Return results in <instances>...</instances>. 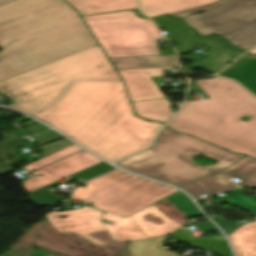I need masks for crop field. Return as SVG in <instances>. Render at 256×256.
<instances>
[{"label":"crop field","mask_w":256,"mask_h":256,"mask_svg":"<svg viewBox=\"0 0 256 256\" xmlns=\"http://www.w3.org/2000/svg\"><path fill=\"white\" fill-rule=\"evenodd\" d=\"M139 116L154 121L167 122L174 113H171V105L167 99L133 103Z\"/></svg>","instance_id":"crop-field-20"},{"label":"crop field","mask_w":256,"mask_h":256,"mask_svg":"<svg viewBox=\"0 0 256 256\" xmlns=\"http://www.w3.org/2000/svg\"><path fill=\"white\" fill-rule=\"evenodd\" d=\"M249 53L256 54V47H254L251 51H249Z\"/></svg>","instance_id":"crop-field-36"},{"label":"crop field","mask_w":256,"mask_h":256,"mask_svg":"<svg viewBox=\"0 0 256 256\" xmlns=\"http://www.w3.org/2000/svg\"><path fill=\"white\" fill-rule=\"evenodd\" d=\"M109 58L161 55L153 22L132 11L83 17Z\"/></svg>","instance_id":"crop-field-7"},{"label":"crop field","mask_w":256,"mask_h":256,"mask_svg":"<svg viewBox=\"0 0 256 256\" xmlns=\"http://www.w3.org/2000/svg\"><path fill=\"white\" fill-rule=\"evenodd\" d=\"M184 20L201 35L222 34L242 49L256 43V0H234L212 12Z\"/></svg>","instance_id":"crop-field-8"},{"label":"crop field","mask_w":256,"mask_h":256,"mask_svg":"<svg viewBox=\"0 0 256 256\" xmlns=\"http://www.w3.org/2000/svg\"><path fill=\"white\" fill-rule=\"evenodd\" d=\"M204 154L219 163L201 167L194 155ZM245 155H235L188 135L164 127L151 148L116 165L140 175L181 185L218 172Z\"/></svg>","instance_id":"crop-field-5"},{"label":"crop field","mask_w":256,"mask_h":256,"mask_svg":"<svg viewBox=\"0 0 256 256\" xmlns=\"http://www.w3.org/2000/svg\"><path fill=\"white\" fill-rule=\"evenodd\" d=\"M135 11L138 13L139 16L144 17V18H147L146 16H144L143 14H141L138 9H136Z\"/></svg>","instance_id":"crop-field-35"},{"label":"crop field","mask_w":256,"mask_h":256,"mask_svg":"<svg viewBox=\"0 0 256 256\" xmlns=\"http://www.w3.org/2000/svg\"><path fill=\"white\" fill-rule=\"evenodd\" d=\"M12 1H15V0H0V6H2L4 4H7V3H10Z\"/></svg>","instance_id":"crop-field-34"},{"label":"crop field","mask_w":256,"mask_h":256,"mask_svg":"<svg viewBox=\"0 0 256 256\" xmlns=\"http://www.w3.org/2000/svg\"><path fill=\"white\" fill-rule=\"evenodd\" d=\"M169 201L175 205L178 211L187 212L186 216L187 218L197 217V216H203L204 214L201 213L197 207L194 205V203L181 191L157 202H166Z\"/></svg>","instance_id":"crop-field-23"},{"label":"crop field","mask_w":256,"mask_h":256,"mask_svg":"<svg viewBox=\"0 0 256 256\" xmlns=\"http://www.w3.org/2000/svg\"><path fill=\"white\" fill-rule=\"evenodd\" d=\"M117 69L178 66L177 55L111 59Z\"/></svg>","instance_id":"crop-field-19"},{"label":"crop field","mask_w":256,"mask_h":256,"mask_svg":"<svg viewBox=\"0 0 256 256\" xmlns=\"http://www.w3.org/2000/svg\"><path fill=\"white\" fill-rule=\"evenodd\" d=\"M228 1H230V0H219V1L215 2L212 5H208V6H204V7H200V8H196V9H192V10H188V11H184V12L172 13V15L182 18V17H184V16H186V15H188L190 13H193V12L211 10V9H213V8L219 6V5H222V4H224V3L228 2Z\"/></svg>","instance_id":"crop-field-29"},{"label":"crop field","mask_w":256,"mask_h":256,"mask_svg":"<svg viewBox=\"0 0 256 256\" xmlns=\"http://www.w3.org/2000/svg\"><path fill=\"white\" fill-rule=\"evenodd\" d=\"M113 168H114V167L108 165L107 163L102 162V163H100V164H97V165H95V166H93V167H90V168H88V169H85V170H83V171H80V172H78V173H76V174H73V175H71V176L74 177V178H76V179L79 180V181H85V180H87V179H89V178H92V177H94V176H97V175H99V174H101V173H104V172H106V171H109V170H111V169H113ZM76 179H75V180H76Z\"/></svg>","instance_id":"crop-field-26"},{"label":"crop field","mask_w":256,"mask_h":256,"mask_svg":"<svg viewBox=\"0 0 256 256\" xmlns=\"http://www.w3.org/2000/svg\"><path fill=\"white\" fill-rule=\"evenodd\" d=\"M80 149H82V148L75 144V145H73V146H71V147H69V148H67V149H65L63 151H60V152H58V153H56L54 155H51V156H49V157H47L45 159H42V160H40L38 162L30 164V165H28V166H26V167H24L22 169L33 171V170H35V169H37L39 167H42V166H44L46 164H49V163H51V162H53L55 160H58V159H60L62 157H65V156H67V155H69V154H71L73 152H76V151H78Z\"/></svg>","instance_id":"crop-field-25"},{"label":"crop field","mask_w":256,"mask_h":256,"mask_svg":"<svg viewBox=\"0 0 256 256\" xmlns=\"http://www.w3.org/2000/svg\"><path fill=\"white\" fill-rule=\"evenodd\" d=\"M173 68L174 67L118 71L126 83L131 101L137 102L166 98L150 77L164 76L162 69Z\"/></svg>","instance_id":"crop-field-13"},{"label":"crop field","mask_w":256,"mask_h":256,"mask_svg":"<svg viewBox=\"0 0 256 256\" xmlns=\"http://www.w3.org/2000/svg\"><path fill=\"white\" fill-rule=\"evenodd\" d=\"M37 140L36 142L42 146V145H45L47 143H50V142H53V141H56V140H59L61 138H64L63 136H61L60 134L52 131V130H49L39 136H37Z\"/></svg>","instance_id":"crop-field-28"},{"label":"crop field","mask_w":256,"mask_h":256,"mask_svg":"<svg viewBox=\"0 0 256 256\" xmlns=\"http://www.w3.org/2000/svg\"><path fill=\"white\" fill-rule=\"evenodd\" d=\"M167 236L133 241L129 246L132 256H178L179 253L165 251L162 242Z\"/></svg>","instance_id":"crop-field-22"},{"label":"crop field","mask_w":256,"mask_h":256,"mask_svg":"<svg viewBox=\"0 0 256 256\" xmlns=\"http://www.w3.org/2000/svg\"><path fill=\"white\" fill-rule=\"evenodd\" d=\"M225 176L231 175L243 180L240 186L256 184V160L248 156L231 165L227 170L221 172Z\"/></svg>","instance_id":"crop-field-21"},{"label":"crop field","mask_w":256,"mask_h":256,"mask_svg":"<svg viewBox=\"0 0 256 256\" xmlns=\"http://www.w3.org/2000/svg\"><path fill=\"white\" fill-rule=\"evenodd\" d=\"M101 215V211L85 206L77 210L52 212L47 218L52 226L62 233L82 234L105 230L101 223ZM61 216L68 218L60 219Z\"/></svg>","instance_id":"crop-field-12"},{"label":"crop field","mask_w":256,"mask_h":256,"mask_svg":"<svg viewBox=\"0 0 256 256\" xmlns=\"http://www.w3.org/2000/svg\"><path fill=\"white\" fill-rule=\"evenodd\" d=\"M77 80H122L100 45L0 82L9 105L32 114L51 106Z\"/></svg>","instance_id":"crop-field-4"},{"label":"crop field","mask_w":256,"mask_h":256,"mask_svg":"<svg viewBox=\"0 0 256 256\" xmlns=\"http://www.w3.org/2000/svg\"><path fill=\"white\" fill-rule=\"evenodd\" d=\"M49 129L48 127L40 124V125H37V126H34V127H30V128H27L26 130L31 133L33 136L45 131Z\"/></svg>","instance_id":"crop-field-30"},{"label":"crop field","mask_w":256,"mask_h":256,"mask_svg":"<svg viewBox=\"0 0 256 256\" xmlns=\"http://www.w3.org/2000/svg\"><path fill=\"white\" fill-rule=\"evenodd\" d=\"M217 0H140L141 10L150 17L167 13L183 11L207 4Z\"/></svg>","instance_id":"crop-field-14"},{"label":"crop field","mask_w":256,"mask_h":256,"mask_svg":"<svg viewBox=\"0 0 256 256\" xmlns=\"http://www.w3.org/2000/svg\"><path fill=\"white\" fill-rule=\"evenodd\" d=\"M227 196L230 197L227 202L243 208L256 216V201L245 196L241 189Z\"/></svg>","instance_id":"crop-field-24"},{"label":"crop field","mask_w":256,"mask_h":256,"mask_svg":"<svg viewBox=\"0 0 256 256\" xmlns=\"http://www.w3.org/2000/svg\"><path fill=\"white\" fill-rule=\"evenodd\" d=\"M0 81L98 45L62 0H18L0 7Z\"/></svg>","instance_id":"crop-field-2"},{"label":"crop field","mask_w":256,"mask_h":256,"mask_svg":"<svg viewBox=\"0 0 256 256\" xmlns=\"http://www.w3.org/2000/svg\"><path fill=\"white\" fill-rule=\"evenodd\" d=\"M219 75L241 82L256 94V56L246 54Z\"/></svg>","instance_id":"crop-field-15"},{"label":"crop field","mask_w":256,"mask_h":256,"mask_svg":"<svg viewBox=\"0 0 256 256\" xmlns=\"http://www.w3.org/2000/svg\"><path fill=\"white\" fill-rule=\"evenodd\" d=\"M163 55L175 54L174 50H161Z\"/></svg>","instance_id":"crop-field-33"},{"label":"crop field","mask_w":256,"mask_h":256,"mask_svg":"<svg viewBox=\"0 0 256 256\" xmlns=\"http://www.w3.org/2000/svg\"><path fill=\"white\" fill-rule=\"evenodd\" d=\"M84 184L88 186L76 189L72 198L124 218L178 191L120 170Z\"/></svg>","instance_id":"crop-field-6"},{"label":"crop field","mask_w":256,"mask_h":256,"mask_svg":"<svg viewBox=\"0 0 256 256\" xmlns=\"http://www.w3.org/2000/svg\"><path fill=\"white\" fill-rule=\"evenodd\" d=\"M48 251L37 249L32 256H45Z\"/></svg>","instance_id":"crop-field-32"},{"label":"crop field","mask_w":256,"mask_h":256,"mask_svg":"<svg viewBox=\"0 0 256 256\" xmlns=\"http://www.w3.org/2000/svg\"><path fill=\"white\" fill-rule=\"evenodd\" d=\"M226 178L227 177H225L223 174L220 173V174L181 186L180 188H183L184 190H186L191 196L198 197V196L207 194L209 192L215 194L218 192L228 190L230 188L238 187Z\"/></svg>","instance_id":"crop-field-17"},{"label":"crop field","mask_w":256,"mask_h":256,"mask_svg":"<svg viewBox=\"0 0 256 256\" xmlns=\"http://www.w3.org/2000/svg\"><path fill=\"white\" fill-rule=\"evenodd\" d=\"M81 15L137 8L136 0H67Z\"/></svg>","instance_id":"crop-field-16"},{"label":"crop field","mask_w":256,"mask_h":256,"mask_svg":"<svg viewBox=\"0 0 256 256\" xmlns=\"http://www.w3.org/2000/svg\"><path fill=\"white\" fill-rule=\"evenodd\" d=\"M149 212L164 220L165 224L157 225L144 221L143 216ZM104 219L116 222L114 226L104 223L107 231L115 242L164 236L172 233L174 230L182 226L166 218L165 215L155 207V205L127 219L105 212Z\"/></svg>","instance_id":"crop-field-10"},{"label":"crop field","mask_w":256,"mask_h":256,"mask_svg":"<svg viewBox=\"0 0 256 256\" xmlns=\"http://www.w3.org/2000/svg\"><path fill=\"white\" fill-rule=\"evenodd\" d=\"M32 115L111 163L146 149L163 126L135 116L122 81H77Z\"/></svg>","instance_id":"crop-field-1"},{"label":"crop field","mask_w":256,"mask_h":256,"mask_svg":"<svg viewBox=\"0 0 256 256\" xmlns=\"http://www.w3.org/2000/svg\"><path fill=\"white\" fill-rule=\"evenodd\" d=\"M72 144H74V143L71 142L70 140L66 139V140L57 142L55 144L43 147V148H41V150H43L45 153L41 154L40 156L45 158V157H47L51 154H54V153L66 148V147H68Z\"/></svg>","instance_id":"crop-field-27"},{"label":"crop field","mask_w":256,"mask_h":256,"mask_svg":"<svg viewBox=\"0 0 256 256\" xmlns=\"http://www.w3.org/2000/svg\"><path fill=\"white\" fill-rule=\"evenodd\" d=\"M100 162H102L100 159L96 158L85 150L78 152L35 172L34 174L37 177L25 182V189L28 191V193H30L36 189ZM39 174H44V176L39 177Z\"/></svg>","instance_id":"crop-field-11"},{"label":"crop field","mask_w":256,"mask_h":256,"mask_svg":"<svg viewBox=\"0 0 256 256\" xmlns=\"http://www.w3.org/2000/svg\"><path fill=\"white\" fill-rule=\"evenodd\" d=\"M154 21L168 32L180 54L189 52L193 44L197 43L211 48L207 52L208 57L198 61L196 64L198 67L217 73L240 56L222 48L216 41L195 36L190 28L180 21L169 19L166 16L154 19Z\"/></svg>","instance_id":"crop-field-9"},{"label":"crop field","mask_w":256,"mask_h":256,"mask_svg":"<svg viewBox=\"0 0 256 256\" xmlns=\"http://www.w3.org/2000/svg\"><path fill=\"white\" fill-rule=\"evenodd\" d=\"M80 236H82V237L88 239L89 241H91L92 243H94V244L97 245V246L108 245L107 243H104V242H102V241L96 240V239L92 238L91 236H89V235H87V234H82V235H80Z\"/></svg>","instance_id":"crop-field-31"},{"label":"crop field","mask_w":256,"mask_h":256,"mask_svg":"<svg viewBox=\"0 0 256 256\" xmlns=\"http://www.w3.org/2000/svg\"><path fill=\"white\" fill-rule=\"evenodd\" d=\"M229 238L238 256H256V222L246 223Z\"/></svg>","instance_id":"crop-field-18"},{"label":"crop field","mask_w":256,"mask_h":256,"mask_svg":"<svg viewBox=\"0 0 256 256\" xmlns=\"http://www.w3.org/2000/svg\"><path fill=\"white\" fill-rule=\"evenodd\" d=\"M192 90H203L210 99L187 101L168 126L256 158V97L236 81L218 76L194 82ZM246 114L254 118L239 121Z\"/></svg>","instance_id":"crop-field-3"}]
</instances>
